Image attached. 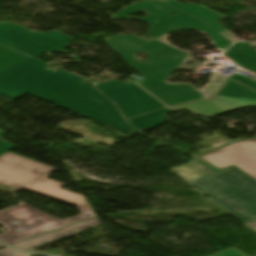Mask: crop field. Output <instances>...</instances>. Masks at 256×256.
<instances>
[{
  "mask_svg": "<svg viewBox=\"0 0 256 256\" xmlns=\"http://www.w3.org/2000/svg\"><path fill=\"white\" fill-rule=\"evenodd\" d=\"M166 1L138 2L111 16L115 19H136L149 23L151 25L149 35L153 36L152 41H146L133 34H118L106 40V43L144 77V80L138 84L168 106L215 95L227 79L213 72L211 83L201 89L200 92L190 84H167L164 82L175 69L184 68L189 70L202 66L201 63L189 58L192 53L178 49L167 42L166 36L170 31L196 29L210 33L215 46L222 53L230 45L209 29L205 23L165 5ZM156 6H162V8L158 9ZM140 10L147 12V17H126ZM173 12L178 14L170 16L169 14ZM155 20L159 22L156 23ZM139 51H145L149 58L139 62L135 55ZM148 61L152 63H148ZM186 61L194 64L185 66L184 62Z\"/></svg>",
  "mask_w": 256,
  "mask_h": 256,
  "instance_id": "8a807250",
  "label": "crop field"
},
{
  "mask_svg": "<svg viewBox=\"0 0 256 256\" xmlns=\"http://www.w3.org/2000/svg\"><path fill=\"white\" fill-rule=\"evenodd\" d=\"M83 80L61 69L53 73L46 69L45 62L30 57L0 73V94L15 100L29 93L131 135L136 134L114 104Z\"/></svg>",
  "mask_w": 256,
  "mask_h": 256,
  "instance_id": "ac0d7876",
  "label": "crop field"
},
{
  "mask_svg": "<svg viewBox=\"0 0 256 256\" xmlns=\"http://www.w3.org/2000/svg\"><path fill=\"white\" fill-rule=\"evenodd\" d=\"M61 186L62 183L45 177L26 189L72 203L81 214L61 221L26 204L5 210L0 212V224L9 231L0 234V240L14 243L94 216L84 196L62 190Z\"/></svg>",
  "mask_w": 256,
  "mask_h": 256,
  "instance_id": "34b2d1b8",
  "label": "crop field"
},
{
  "mask_svg": "<svg viewBox=\"0 0 256 256\" xmlns=\"http://www.w3.org/2000/svg\"><path fill=\"white\" fill-rule=\"evenodd\" d=\"M243 224L256 221V181L235 167L187 183Z\"/></svg>",
  "mask_w": 256,
  "mask_h": 256,
  "instance_id": "412701ff",
  "label": "crop field"
},
{
  "mask_svg": "<svg viewBox=\"0 0 256 256\" xmlns=\"http://www.w3.org/2000/svg\"><path fill=\"white\" fill-rule=\"evenodd\" d=\"M71 39L58 31L32 32L13 23H0V44L35 58L43 52L64 50Z\"/></svg>",
  "mask_w": 256,
  "mask_h": 256,
  "instance_id": "f4fd0767",
  "label": "crop field"
},
{
  "mask_svg": "<svg viewBox=\"0 0 256 256\" xmlns=\"http://www.w3.org/2000/svg\"><path fill=\"white\" fill-rule=\"evenodd\" d=\"M192 158L217 171L235 165L256 179V137L233 140Z\"/></svg>",
  "mask_w": 256,
  "mask_h": 256,
  "instance_id": "dd49c442",
  "label": "crop field"
},
{
  "mask_svg": "<svg viewBox=\"0 0 256 256\" xmlns=\"http://www.w3.org/2000/svg\"><path fill=\"white\" fill-rule=\"evenodd\" d=\"M244 106H256V91L229 80L215 97L171 108L173 110L188 109L194 114L214 116Z\"/></svg>",
  "mask_w": 256,
  "mask_h": 256,
  "instance_id": "e52e79f7",
  "label": "crop field"
},
{
  "mask_svg": "<svg viewBox=\"0 0 256 256\" xmlns=\"http://www.w3.org/2000/svg\"><path fill=\"white\" fill-rule=\"evenodd\" d=\"M95 88L115 102L126 119L164 107L134 83L126 85L113 80L97 85Z\"/></svg>",
  "mask_w": 256,
  "mask_h": 256,
  "instance_id": "d8731c3e",
  "label": "crop field"
},
{
  "mask_svg": "<svg viewBox=\"0 0 256 256\" xmlns=\"http://www.w3.org/2000/svg\"><path fill=\"white\" fill-rule=\"evenodd\" d=\"M56 169L8 152L0 157V183L20 190Z\"/></svg>",
  "mask_w": 256,
  "mask_h": 256,
  "instance_id": "5a996713",
  "label": "crop field"
},
{
  "mask_svg": "<svg viewBox=\"0 0 256 256\" xmlns=\"http://www.w3.org/2000/svg\"><path fill=\"white\" fill-rule=\"evenodd\" d=\"M168 5L186 13L191 16H194L198 19H201L208 23V25L213 28L215 31H217L219 34H221L223 37H225L230 42L234 43L240 39L235 37L233 34H231L228 30H226L223 26H221L219 23H217L215 20L221 19L223 17L197 5V4H182L175 1L170 0L168 2Z\"/></svg>",
  "mask_w": 256,
  "mask_h": 256,
  "instance_id": "3316defc",
  "label": "crop field"
},
{
  "mask_svg": "<svg viewBox=\"0 0 256 256\" xmlns=\"http://www.w3.org/2000/svg\"><path fill=\"white\" fill-rule=\"evenodd\" d=\"M226 55L243 68L256 72V50L250 45L238 42Z\"/></svg>",
  "mask_w": 256,
  "mask_h": 256,
  "instance_id": "28ad6ade",
  "label": "crop field"
},
{
  "mask_svg": "<svg viewBox=\"0 0 256 256\" xmlns=\"http://www.w3.org/2000/svg\"><path fill=\"white\" fill-rule=\"evenodd\" d=\"M169 111L172 110L163 108L156 112L133 118L128 120V122L140 133L155 127L162 126L163 122L168 120L164 114Z\"/></svg>",
  "mask_w": 256,
  "mask_h": 256,
  "instance_id": "d1516ede",
  "label": "crop field"
},
{
  "mask_svg": "<svg viewBox=\"0 0 256 256\" xmlns=\"http://www.w3.org/2000/svg\"><path fill=\"white\" fill-rule=\"evenodd\" d=\"M29 56L0 45V72Z\"/></svg>",
  "mask_w": 256,
  "mask_h": 256,
  "instance_id": "22f410ed",
  "label": "crop field"
},
{
  "mask_svg": "<svg viewBox=\"0 0 256 256\" xmlns=\"http://www.w3.org/2000/svg\"><path fill=\"white\" fill-rule=\"evenodd\" d=\"M96 226H100V223L98 222L96 217H93L89 220L78 222L76 224H73L71 226H68L66 228H63L61 230H58V231H55V232H52V233L62 237V236H66V235H69V234H72V233H76V232H79V231L90 229V228H93V227H96Z\"/></svg>",
  "mask_w": 256,
  "mask_h": 256,
  "instance_id": "cbeb9de0",
  "label": "crop field"
},
{
  "mask_svg": "<svg viewBox=\"0 0 256 256\" xmlns=\"http://www.w3.org/2000/svg\"><path fill=\"white\" fill-rule=\"evenodd\" d=\"M57 238H59V237L49 233V234L40 235V236L31 238V239H28V240H24V241H21V242L12 244V245L16 246V247H19V248H22L24 250H27V249L39 246L41 244L53 241Z\"/></svg>",
  "mask_w": 256,
  "mask_h": 256,
  "instance_id": "5142ce71",
  "label": "crop field"
},
{
  "mask_svg": "<svg viewBox=\"0 0 256 256\" xmlns=\"http://www.w3.org/2000/svg\"><path fill=\"white\" fill-rule=\"evenodd\" d=\"M231 79H233V80H235L237 82H240V83H242V84H244V85H246V86L256 90V83H254V82H252V81H250L248 79H245V78H243V77H241V76H239L237 74L233 75V77Z\"/></svg>",
  "mask_w": 256,
  "mask_h": 256,
  "instance_id": "d9b57169",
  "label": "crop field"
},
{
  "mask_svg": "<svg viewBox=\"0 0 256 256\" xmlns=\"http://www.w3.org/2000/svg\"><path fill=\"white\" fill-rule=\"evenodd\" d=\"M4 133L0 132V137L3 135ZM15 146H12L11 144L3 141L0 139V155L8 152L9 150H11L12 148H14Z\"/></svg>",
  "mask_w": 256,
  "mask_h": 256,
  "instance_id": "733c2abd",
  "label": "crop field"
},
{
  "mask_svg": "<svg viewBox=\"0 0 256 256\" xmlns=\"http://www.w3.org/2000/svg\"><path fill=\"white\" fill-rule=\"evenodd\" d=\"M213 256H245L244 254L238 252L237 250L231 248L229 250H226L224 252L218 253Z\"/></svg>",
  "mask_w": 256,
  "mask_h": 256,
  "instance_id": "4a817a6b",
  "label": "crop field"
},
{
  "mask_svg": "<svg viewBox=\"0 0 256 256\" xmlns=\"http://www.w3.org/2000/svg\"><path fill=\"white\" fill-rule=\"evenodd\" d=\"M0 256H30L28 254H22V253H18L16 251H13L9 248L0 251Z\"/></svg>",
  "mask_w": 256,
  "mask_h": 256,
  "instance_id": "bc2a9ffb",
  "label": "crop field"
},
{
  "mask_svg": "<svg viewBox=\"0 0 256 256\" xmlns=\"http://www.w3.org/2000/svg\"><path fill=\"white\" fill-rule=\"evenodd\" d=\"M248 226H250L252 229H254L256 231V222L248 224Z\"/></svg>",
  "mask_w": 256,
  "mask_h": 256,
  "instance_id": "214f88e0",
  "label": "crop field"
},
{
  "mask_svg": "<svg viewBox=\"0 0 256 256\" xmlns=\"http://www.w3.org/2000/svg\"><path fill=\"white\" fill-rule=\"evenodd\" d=\"M2 247H4V245H2V244L0 243V248H2Z\"/></svg>",
  "mask_w": 256,
  "mask_h": 256,
  "instance_id": "92a150f3",
  "label": "crop field"
}]
</instances>
